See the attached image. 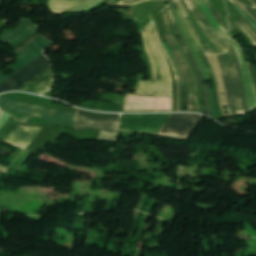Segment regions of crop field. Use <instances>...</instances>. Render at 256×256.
<instances>
[{"label": "crop field", "instance_id": "1", "mask_svg": "<svg viewBox=\"0 0 256 256\" xmlns=\"http://www.w3.org/2000/svg\"><path fill=\"white\" fill-rule=\"evenodd\" d=\"M142 32L146 50L153 68V82L139 80L135 93L151 96H172L170 72L154 37L151 23H149Z\"/></svg>", "mask_w": 256, "mask_h": 256}, {"label": "crop field", "instance_id": "2", "mask_svg": "<svg viewBox=\"0 0 256 256\" xmlns=\"http://www.w3.org/2000/svg\"><path fill=\"white\" fill-rule=\"evenodd\" d=\"M40 37L41 35L38 32H35L33 35H31L26 40H24L23 42L18 44L16 47H14L16 53L20 52L21 50H23L25 47H27L28 45H30ZM50 44L51 42L42 36L36 42H34L30 46H28L26 49L21 51L19 54H17L18 61H16L14 64L8 67L10 69H13L14 72L5 77L0 71V83L5 79H7L8 77H10L11 75H13L15 72H17L21 68H23L25 65H27L28 63L36 59L38 56H40L42 54L41 51H43Z\"/></svg>", "mask_w": 256, "mask_h": 256}, {"label": "crop field", "instance_id": "3", "mask_svg": "<svg viewBox=\"0 0 256 256\" xmlns=\"http://www.w3.org/2000/svg\"><path fill=\"white\" fill-rule=\"evenodd\" d=\"M170 114L122 115L119 130L158 135Z\"/></svg>", "mask_w": 256, "mask_h": 256}, {"label": "crop field", "instance_id": "4", "mask_svg": "<svg viewBox=\"0 0 256 256\" xmlns=\"http://www.w3.org/2000/svg\"><path fill=\"white\" fill-rule=\"evenodd\" d=\"M0 106L15 110V111H19L22 113L39 116V117H43V118H48V119H52V120H57V121H61V122L72 123V124H74L75 115H76V113H74V112H68V111H63V110L35 106V105H31V104L11 100V99H6V98H2V97H0ZM12 110H10V111H12ZM15 111H13V112H15ZM19 112H17V113H19Z\"/></svg>", "mask_w": 256, "mask_h": 256}, {"label": "crop field", "instance_id": "5", "mask_svg": "<svg viewBox=\"0 0 256 256\" xmlns=\"http://www.w3.org/2000/svg\"><path fill=\"white\" fill-rule=\"evenodd\" d=\"M50 66L45 55H41L36 60L28 64L26 67L15 73L13 76L0 84V93L10 90H16L41 71Z\"/></svg>", "mask_w": 256, "mask_h": 256}, {"label": "crop field", "instance_id": "6", "mask_svg": "<svg viewBox=\"0 0 256 256\" xmlns=\"http://www.w3.org/2000/svg\"><path fill=\"white\" fill-rule=\"evenodd\" d=\"M201 117L202 116L195 114H171L160 133L189 137ZM162 134L159 135L185 140L188 139L184 137L168 136Z\"/></svg>", "mask_w": 256, "mask_h": 256}, {"label": "crop field", "instance_id": "7", "mask_svg": "<svg viewBox=\"0 0 256 256\" xmlns=\"http://www.w3.org/2000/svg\"><path fill=\"white\" fill-rule=\"evenodd\" d=\"M78 117H84L92 120H114L119 121L120 115L114 114H105V113H96V112H88L78 110L77 115ZM76 117L75 126L74 128H94L100 129L108 132H115L118 129L119 122L113 121H91L84 118Z\"/></svg>", "mask_w": 256, "mask_h": 256}, {"label": "crop field", "instance_id": "8", "mask_svg": "<svg viewBox=\"0 0 256 256\" xmlns=\"http://www.w3.org/2000/svg\"><path fill=\"white\" fill-rule=\"evenodd\" d=\"M228 40L230 45L235 49L237 56L239 58L240 67L242 71V76L244 80V88L245 94L248 102V107L250 112L256 110V92L253 85V81L249 72V68L247 65V60L244 55V51L241 46L237 43L236 39H234L230 34L228 35Z\"/></svg>", "mask_w": 256, "mask_h": 256}, {"label": "crop field", "instance_id": "9", "mask_svg": "<svg viewBox=\"0 0 256 256\" xmlns=\"http://www.w3.org/2000/svg\"><path fill=\"white\" fill-rule=\"evenodd\" d=\"M200 28L215 43L221 53L227 51V42L215 31L195 0H185Z\"/></svg>", "mask_w": 256, "mask_h": 256}, {"label": "crop field", "instance_id": "10", "mask_svg": "<svg viewBox=\"0 0 256 256\" xmlns=\"http://www.w3.org/2000/svg\"><path fill=\"white\" fill-rule=\"evenodd\" d=\"M125 96L126 95L105 93V95L98 98V100L112 101L116 103L87 101L80 107L95 111L121 112Z\"/></svg>", "mask_w": 256, "mask_h": 256}, {"label": "crop field", "instance_id": "11", "mask_svg": "<svg viewBox=\"0 0 256 256\" xmlns=\"http://www.w3.org/2000/svg\"><path fill=\"white\" fill-rule=\"evenodd\" d=\"M52 81H53V77H52L51 68L48 67L46 70L41 72L32 80H30L25 85L20 87L18 90L42 94L45 91H47L49 88H51Z\"/></svg>", "mask_w": 256, "mask_h": 256}, {"label": "crop field", "instance_id": "12", "mask_svg": "<svg viewBox=\"0 0 256 256\" xmlns=\"http://www.w3.org/2000/svg\"><path fill=\"white\" fill-rule=\"evenodd\" d=\"M41 129L39 127L18 125L6 141L26 148Z\"/></svg>", "mask_w": 256, "mask_h": 256}, {"label": "crop field", "instance_id": "13", "mask_svg": "<svg viewBox=\"0 0 256 256\" xmlns=\"http://www.w3.org/2000/svg\"><path fill=\"white\" fill-rule=\"evenodd\" d=\"M222 57H223V63H224L226 75L229 80L231 95H232V98L234 101L235 109H236L238 115H243L244 111H243V107H242V103H241V99H240V95H239V89H238V83H237V77H236V73H235L234 63L228 64L226 54L222 55Z\"/></svg>", "mask_w": 256, "mask_h": 256}, {"label": "crop field", "instance_id": "14", "mask_svg": "<svg viewBox=\"0 0 256 256\" xmlns=\"http://www.w3.org/2000/svg\"><path fill=\"white\" fill-rule=\"evenodd\" d=\"M35 31H37V29L34 24L27 20H21L19 26L1 40L11 42L13 46H16Z\"/></svg>", "mask_w": 256, "mask_h": 256}, {"label": "crop field", "instance_id": "15", "mask_svg": "<svg viewBox=\"0 0 256 256\" xmlns=\"http://www.w3.org/2000/svg\"><path fill=\"white\" fill-rule=\"evenodd\" d=\"M167 9H168V12H169V14H170V17H171V19H172V22H173V24H174L176 33H177V35L179 36V38H180V40H181V43H182V45H183V47H184V50H185V52H186L188 58L190 59L191 63L193 64V66H194V68H195V70H196V72H197V74H198V76H199V78H200L201 89H202V94H203V98H204L206 113H207L208 115H211V114H210V110H209V106H208V102H207L205 86H204V84H203V81H204V80H203L202 74H201V72H200V70H199V68H198V66H197V64H196V62H195L193 56H192L191 53L189 52L188 47H187L186 43L184 42V40H183V38H182V36H181V34H180L178 28H177L175 19H174V17H173V14H172V12H171L169 6L167 7Z\"/></svg>", "mask_w": 256, "mask_h": 256}, {"label": "crop field", "instance_id": "16", "mask_svg": "<svg viewBox=\"0 0 256 256\" xmlns=\"http://www.w3.org/2000/svg\"><path fill=\"white\" fill-rule=\"evenodd\" d=\"M162 13H163L164 20H165V23H166V26H167L169 37H170L172 43L174 44V46H175V48H176V50H177V52H178V54H179L183 64H184V66H185V68H186V70H187V72L189 74V77L191 79V83H192V99H193L194 111L199 112V106H198V103H197V100H196V84H195V80H194L193 74H192V72H191L187 62L184 59L185 57L183 58V56H182V54H181V52H180V50H179V48H178V46H177V44L175 42V39H174V37H173V35H172L171 31H170V27H169V24H168V21H167V17H166V13H165L164 9H163Z\"/></svg>", "mask_w": 256, "mask_h": 256}, {"label": "crop field", "instance_id": "17", "mask_svg": "<svg viewBox=\"0 0 256 256\" xmlns=\"http://www.w3.org/2000/svg\"><path fill=\"white\" fill-rule=\"evenodd\" d=\"M86 0H48L54 13H63Z\"/></svg>", "mask_w": 256, "mask_h": 256}, {"label": "crop field", "instance_id": "18", "mask_svg": "<svg viewBox=\"0 0 256 256\" xmlns=\"http://www.w3.org/2000/svg\"><path fill=\"white\" fill-rule=\"evenodd\" d=\"M200 57V59L202 60L210 78H211V82L213 84V87H212V91H213V95H214V102H215V106H216V110H217V114H218V118H223V115L220 111V105H219V100H218V97H217V90H216V84H215V80H214V76H213V73H212V70H211V67L209 65V62L207 60V58L205 57L204 53H197Z\"/></svg>", "mask_w": 256, "mask_h": 256}, {"label": "crop field", "instance_id": "19", "mask_svg": "<svg viewBox=\"0 0 256 256\" xmlns=\"http://www.w3.org/2000/svg\"><path fill=\"white\" fill-rule=\"evenodd\" d=\"M197 3L199 4V6L201 7V9L203 10V12L205 13V15L207 16V18L209 19V21L212 23V25L214 26V28L216 29V31L225 38L226 35V30L218 23V21L214 18V16L212 15L211 11L209 10L208 6L206 5V3L204 2V0H196Z\"/></svg>", "mask_w": 256, "mask_h": 256}, {"label": "crop field", "instance_id": "20", "mask_svg": "<svg viewBox=\"0 0 256 256\" xmlns=\"http://www.w3.org/2000/svg\"><path fill=\"white\" fill-rule=\"evenodd\" d=\"M184 20L190 30V32L192 33V35L194 36V38L196 39V41L198 42V44L200 45V47L206 51V52H212L214 53V51L212 50V48L205 42V40L201 37V35L198 33V31L195 29L191 19L189 18V16L184 17Z\"/></svg>", "mask_w": 256, "mask_h": 256}, {"label": "crop field", "instance_id": "21", "mask_svg": "<svg viewBox=\"0 0 256 256\" xmlns=\"http://www.w3.org/2000/svg\"><path fill=\"white\" fill-rule=\"evenodd\" d=\"M235 23L251 38L256 47V29L242 15Z\"/></svg>", "mask_w": 256, "mask_h": 256}, {"label": "crop field", "instance_id": "22", "mask_svg": "<svg viewBox=\"0 0 256 256\" xmlns=\"http://www.w3.org/2000/svg\"><path fill=\"white\" fill-rule=\"evenodd\" d=\"M164 35L167 38V40H168V42H169V44H170V46H171L175 56H176V59H177L179 65H180V67H181V69H182V71H183V73L185 75V79H186V83H187V90H188V99H189L190 96H191V83H190V79H189L188 74H187V72H186V70H185V68H184V66H183V64H182V62H181V60H180L176 50L174 49V47H173V45H172V43H171L167 33H165ZM188 106H189V111H193L192 99L191 98L188 100Z\"/></svg>", "mask_w": 256, "mask_h": 256}, {"label": "crop field", "instance_id": "23", "mask_svg": "<svg viewBox=\"0 0 256 256\" xmlns=\"http://www.w3.org/2000/svg\"><path fill=\"white\" fill-rule=\"evenodd\" d=\"M230 47V51L232 53V56L234 58L235 61V66H236V72H237V77H238V83H239V89H240V95L242 98V102H243V107L245 110V114L248 113V108H247V103H246V98H245V94H244V90H243V85H242V79H241V72L239 69V65H238V61H237V56L236 53L234 52V50L232 49V47L229 45Z\"/></svg>", "mask_w": 256, "mask_h": 256}, {"label": "crop field", "instance_id": "24", "mask_svg": "<svg viewBox=\"0 0 256 256\" xmlns=\"http://www.w3.org/2000/svg\"><path fill=\"white\" fill-rule=\"evenodd\" d=\"M162 44L166 48V50H167V52H168V54H169V56H170V58H171V60H172V62L174 64V67H175L176 72H177V76L179 78L180 86L185 85V80H184L183 73H182V71H181V69H180V67H179V65H178V63H177V61H176V59H175V57H174L170 47H169V45H168V42H164Z\"/></svg>", "mask_w": 256, "mask_h": 256}, {"label": "crop field", "instance_id": "25", "mask_svg": "<svg viewBox=\"0 0 256 256\" xmlns=\"http://www.w3.org/2000/svg\"><path fill=\"white\" fill-rule=\"evenodd\" d=\"M217 56H218V59H219V62H220V66H221V70H222V74H223V78H224V82H225V87H226V92H227V95H228L231 110H232V113H233L234 117H236L237 115H236L234 105H233V102H232V99H231L230 90H229L227 78H226L223 63H222V57H221V55H217Z\"/></svg>", "mask_w": 256, "mask_h": 256}, {"label": "crop field", "instance_id": "26", "mask_svg": "<svg viewBox=\"0 0 256 256\" xmlns=\"http://www.w3.org/2000/svg\"><path fill=\"white\" fill-rule=\"evenodd\" d=\"M172 5H173V7H174V9H175V11H176L178 17H179V19H180V21H181V23H182L184 29H185V32H186L188 38H189L190 41L192 42L194 48L196 49V51L200 50V47H199L198 44L196 43L195 39L193 38V36L191 35V33L188 31V29H187V27H186V25H185V23H184V21H183V19H182V16H181V14H180V12H179V10H178V8H177L175 2L172 3Z\"/></svg>", "mask_w": 256, "mask_h": 256}, {"label": "crop field", "instance_id": "27", "mask_svg": "<svg viewBox=\"0 0 256 256\" xmlns=\"http://www.w3.org/2000/svg\"><path fill=\"white\" fill-rule=\"evenodd\" d=\"M142 1H165V0H123L121 3L119 4H123V5H135L138 4Z\"/></svg>", "mask_w": 256, "mask_h": 256}, {"label": "crop field", "instance_id": "28", "mask_svg": "<svg viewBox=\"0 0 256 256\" xmlns=\"http://www.w3.org/2000/svg\"><path fill=\"white\" fill-rule=\"evenodd\" d=\"M234 6H235V8L241 13V14H243L244 16H245V18L247 19V20H249L253 25H254V27L256 28V24L232 1V0H229Z\"/></svg>", "mask_w": 256, "mask_h": 256}, {"label": "crop field", "instance_id": "29", "mask_svg": "<svg viewBox=\"0 0 256 256\" xmlns=\"http://www.w3.org/2000/svg\"><path fill=\"white\" fill-rule=\"evenodd\" d=\"M153 21H154V19H153ZM154 25H155V22H154ZM155 30H156V33H157L156 25H155ZM157 36H158V38H159L158 33H157ZM159 40H160V38H159ZM161 45H162V44H161ZM162 47H163V45H162ZM163 49H164V47H163ZM164 51H165V49H164ZM165 53H166V51H165ZM166 55H167V53H166ZM167 57H168V55H167ZM168 59H169V62H170V64H171V66H172V69H173V72H174V76H175V80H178V78H177V76H176V73H175V69H174V67H173V65H172V63H171V61H170V58L168 57Z\"/></svg>", "mask_w": 256, "mask_h": 256}, {"label": "crop field", "instance_id": "30", "mask_svg": "<svg viewBox=\"0 0 256 256\" xmlns=\"http://www.w3.org/2000/svg\"><path fill=\"white\" fill-rule=\"evenodd\" d=\"M205 2H206L207 5L211 8V10H212L214 16L216 17V19H217L219 22H221V19H220V18L218 17V15L216 14V12H215L213 6L210 4V2H209L208 0H205Z\"/></svg>", "mask_w": 256, "mask_h": 256}, {"label": "crop field", "instance_id": "31", "mask_svg": "<svg viewBox=\"0 0 256 256\" xmlns=\"http://www.w3.org/2000/svg\"><path fill=\"white\" fill-rule=\"evenodd\" d=\"M249 68H250L251 75H252V78H253V81H254V85H255V88H256V76L254 74V71H253V68H252L251 64H249Z\"/></svg>", "mask_w": 256, "mask_h": 256}, {"label": "crop field", "instance_id": "32", "mask_svg": "<svg viewBox=\"0 0 256 256\" xmlns=\"http://www.w3.org/2000/svg\"><path fill=\"white\" fill-rule=\"evenodd\" d=\"M131 95H136V94H131ZM139 96H142V95H139ZM127 97H128V94H127V96H126V99H127ZM163 98H171V111H172V97H163ZM126 99H125V102H124V106H123L122 112H124V109H125Z\"/></svg>", "mask_w": 256, "mask_h": 256}, {"label": "crop field", "instance_id": "33", "mask_svg": "<svg viewBox=\"0 0 256 256\" xmlns=\"http://www.w3.org/2000/svg\"><path fill=\"white\" fill-rule=\"evenodd\" d=\"M239 2H240L251 14H253V15L256 17V14H255L252 10H250V9L242 2V0H239Z\"/></svg>", "mask_w": 256, "mask_h": 256}, {"label": "crop field", "instance_id": "34", "mask_svg": "<svg viewBox=\"0 0 256 256\" xmlns=\"http://www.w3.org/2000/svg\"><path fill=\"white\" fill-rule=\"evenodd\" d=\"M152 25H153V21H152ZM153 29H154V25H153ZM154 33H155V30H154ZM155 36H156V34H155ZM156 38H157V36H156ZM157 41H158V38H157ZM158 43H159V41H158ZM159 46L161 48L160 43H159ZM161 50H162V48H161ZM162 52H163V50H162ZM163 54H164V52H163ZM164 56H165V54H164ZM165 59L167 60L166 56H165Z\"/></svg>", "mask_w": 256, "mask_h": 256}, {"label": "crop field", "instance_id": "35", "mask_svg": "<svg viewBox=\"0 0 256 256\" xmlns=\"http://www.w3.org/2000/svg\"><path fill=\"white\" fill-rule=\"evenodd\" d=\"M253 6L256 7V3L253 0H249Z\"/></svg>", "mask_w": 256, "mask_h": 256}, {"label": "crop field", "instance_id": "36", "mask_svg": "<svg viewBox=\"0 0 256 256\" xmlns=\"http://www.w3.org/2000/svg\"><path fill=\"white\" fill-rule=\"evenodd\" d=\"M255 7V6H254ZM253 6L249 7L251 8L255 13H256V9Z\"/></svg>", "mask_w": 256, "mask_h": 256}, {"label": "crop field", "instance_id": "37", "mask_svg": "<svg viewBox=\"0 0 256 256\" xmlns=\"http://www.w3.org/2000/svg\"><path fill=\"white\" fill-rule=\"evenodd\" d=\"M244 12H245V11H244ZM245 13H246V12H245ZM249 15H250L252 18H254V19L256 20V18H255V17H253L250 13H249ZM254 19H253V20H254ZM255 20H254V21H255ZM255 22H256V21H255Z\"/></svg>", "mask_w": 256, "mask_h": 256}, {"label": "crop field", "instance_id": "38", "mask_svg": "<svg viewBox=\"0 0 256 256\" xmlns=\"http://www.w3.org/2000/svg\"><path fill=\"white\" fill-rule=\"evenodd\" d=\"M254 71H255V74H256V66H254Z\"/></svg>", "mask_w": 256, "mask_h": 256}, {"label": "crop field", "instance_id": "39", "mask_svg": "<svg viewBox=\"0 0 256 256\" xmlns=\"http://www.w3.org/2000/svg\"><path fill=\"white\" fill-rule=\"evenodd\" d=\"M112 1H114V0H111L109 3H111Z\"/></svg>", "mask_w": 256, "mask_h": 256}]
</instances>
